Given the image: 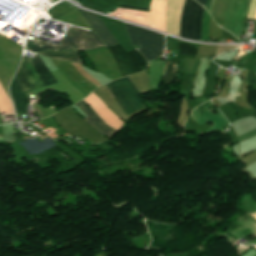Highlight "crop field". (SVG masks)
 Instances as JSON below:
<instances>
[{"label": "crop field", "mask_w": 256, "mask_h": 256, "mask_svg": "<svg viewBox=\"0 0 256 256\" xmlns=\"http://www.w3.org/2000/svg\"><path fill=\"white\" fill-rule=\"evenodd\" d=\"M105 47L93 31L88 32L71 27L59 46L34 38H28L27 51L94 50Z\"/></svg>", "instance_id": "8a807250"}, {"label": "crop field", "mask_w": 256, "mask_h": 256, "mask_svg": "<svg viewBox=\"0 0 256 256\" xmlns=\"http://www.w3.org/2000/svg\"><path fill=\"white\" fill-rule=\"evenodd\" d=\"M15 77L24 92L57 83L38 55L33 64L22 62Z\"/></svg>", "instance_id": "ac0d7876"}, {"label": "crop field", "mask_w": 256, "mask_h": 256, "mask_svg": "<svg viewBox=\"0 0 256 256\" xmlns=\"http://www.w3.org/2000/svg\"><path fill=\"white\" fill-rule=\"evenodd\" d=\"M125 24V23H124ZM132 45H141L138 50L147 61L161 55L164 44V35L143 28L125 24Z\"/></svg>", "instance_id": "34b2d1b8"}, {"label": "crop field", "mask_w": 256, "mask_h": 256, "mask_svg": "<svg viewBox=\"0 0 256 256\" xmlns=\"http://www.w3.org/2000/svg\"><path fill=\"white\" fill-rule=\"evenodd\" d=\"M127 114L143 107L139 100V91L128 77L114 80L105 85Z\"/></svg>", "instance_id": "412701ff"}, {"label": "crop field", "mask_w": 256, "mask_h": 256, "mask_svg": "<svg viewBox=\"0 0 256 256\" xmlns=\"http://www.w3.org/2000/svg\"><path fill=\"white\" fill-rule=\"evenodd\" d=\"M204 8L193 0H185L180 20V36L200 40L201 17Z\"/></svg>", "instance_id": "f4fd0767"}, {"label": "crop field", "mask_w": 256, "mask_h": 256, "mask_svg": "<svg viewBox=\"0 0 256 256\" xmlns=\"http://www.w3.org/2000/svg\"><path fill=\"white\" fill-rule=\"evenodd\" d=\"M107 49L114 57L121 77L146 69L147 61L136 50L126 52L120 44Z\"/></svg>", "instance_id": "dd49c442"}, {"label": "crop field", "mask_w": 256, "mask_h": 256, "mask_svg": "<svg viewBox=\"0 0 256 256\" xmlns=\"http://www.w3.org/2000/svg\"><path fill=\"white\" fill-rule=\"evenodd\" d=\"M250 0H230L223 29L230 31L241 39V32Z\"/></svg>", "instance_id": "e52e79f7"}, {"label": "crop field", "mask_w": 256, "mask_h": 256, "mask_svg": "<svg viewBox=\"0 0 256 256\" xmlns=\"http://www.w3.org/2000/svg\"><path fill=\"white\" fill-rule=\"evenodd\" d=\"M78 10L83 15L88 25L92 28V30L107 47L118 44L116 39L112 36V34L109 32V30L106 28V26L96 14L84 9Z\"/></svg>", "instance_id": "d8731c3e"}, {"label": "crop field", "mask_w": 256, "mask_h": 256, "mask_svg": "<svg viewBox=\"0 0 256 256\" xmlns=\"http://www.w3.org/2000/svg\"><path fill=\"white\" fill-rule=\"evenodd\" d=\"M80 110H82L88 117L84 120L97 132L106 135L108 139L117 131L104 124L96 114L83 102L75 104ZM100 134V135H101Z\"/></svg>", "instance_id": "5a996713"}, {"label": "crop field", "mask_w": 256, "mask_h": 256, "mask_svg": "<svg viewBox=\"0 0 256 256\" xmlns=\"http://www.w3.org/2000/svg\"><path fill=\"white\" fill-rule=\"evenodd\" d=\"M109 15H119V18L149 27V13L146 12L117 8L115 12L110 13Z\"/></svg>", "instance_id": "3316defc"}, {"label": "crop field", "mask_w": 256, "mask_h": 256, "mask_svg": "<svg viewBox=\"0 0 256 256\" xmlns=\"http://www.w3.org/2000/svg\"><path fill=\"white\" fill-rule=\"evenodd\" d=\"M10 92L14 100L16 112L20 114H26L27 113V96L21 90L15 77L12 81Z\"/></svg>", "instance_id": "28ad6ade"}, {"label": "crop field", "mask_w": 256, "mask_h": 256, "mask_svg": "<svg viewBox=\"0 0 256 256\" xmlns=\"http://www.w3.org/2000/svg\"><path fill=\"white\" fill-rule=\"evenodd\" d=\"M165 6L162 4L153 3L151 5V28L165 32L164 15Z\"/></svg>", "instance_id": "d1516ede"}, {"label": "crop field", "mask_w": 256, "mask_h": 256, "mask_svg": "<svg viewBox=\"0 0 256 256\" xmlns=\"http://www.w3.org/2000/svg\"><path fill=\"white\" fill-rule=\"evenodd\" d=\"M164 63H165V60L149 62L148 68L150 71V74H149L150 87L159 86L160 81L162 79Z\"/></svg>", "instance_id": "22f410ed"}, {"label": "crop field", "mask_w": 256, "mask_h": 256, "mask_svg": "<svg viewBox=\"0 0 256 256\" xmlns=\"http://www.w3.org/2000/svg\"><path fill=\"white\" fill-rule=\"evenodd\" d=\"M79 52H41L40 55H44L53 59H60L64 61L81 63V59L78 56Z\"/></svg>", "instance_id": "cbeb9de0"}, {"label": "crop field", "mask_w": 256, "mask_h": 256, "mask_svg": "<svg viewBox=\"0 0 256 256\" xmlns=\"http://www.w3.org/2000/svg\"><path fill=\"white\" fill-rule=\"evenodd\" d=\"M178 71V63L167 61L164 69V81L166 84L173 83Z\"/></svg>", "instance_id": "5142ce71"}, {"label": "crop field", "mask_w": 256, "mask_h": 256, "mask_svg": "<svg viewBox=\"0 0 256 256\" xmlns=\"http://www.w3.org/2000/svg\"><path fill=\"white\" fill-rule=\"evenodd\" d=\"M198 45L196 43L178 41V55H195Z\"/></svg>", "instance_id": "d9b57169"}, {"label": "crop field", "mask_w": 256, "mask_h": 256, "mask_svg": "<svg viewBox=\"0 0 256 256\" xmlns=\"http://www.w3.org/2000/svg\"><path fill=\"white\" fill-rule=\"evenodd\" d=\"M209 13L204 10L203 20H202V31H201V40L207 41L208 39V26H209Z\"/></svg>", "instance_id": "733c2abd"}, {"label": "crop field", "mask_w": 256, "mask_h": 256, "mask_svg": "<svg viewBox=\"0 0 256 256\" xmlns=\"http://www.w3.org/2000/svg\"><path fill=\"white\" fill-rule=\"evenodd\" d=\"M118 7L149 12V9H146V8H140V7L128 6V5H122V4H119Z\"/></svg>", "instance_id": "4a817a6b"}, {"label": "crop field", "mask_w": 256, "mask_h": 256, "mask_svg": "<svg viewBox=\"0 0 256 256\" xmlns=\"http://www.w3.org/2000/svg\"><path fill=\"white\" fill-rule=\"evenodd\" d=\"M196 1L199 2L201 5L205 6L206 0H196Z\"/></svg>", "instance_id": "bc2a9ffb"}]
</instances>
